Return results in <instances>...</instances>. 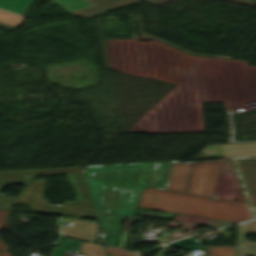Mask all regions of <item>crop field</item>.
<instances>
[{
    "label": "crop field",
    "instance_id": "obj_1",
    "mask_svg": "<svg viewBox=\"0 0 256 256\" xmlns=\"http://www.w3.org/2000/svg\"><path fill=\"white\" fill-rule=\"evenodd\" d=\"M65 174L76 192V198L65 205H53L43 199L45 179L33 180L16 199L15 203L30 206L33 212L49 214V211L82 218H93L95 215L87 191L81 167L40 170L37 175Z\"/></svg>",
    "mask_w": 256,
    "mask_h": 256
},
{
    "label": "crop field",
    "instance_id": "obj_2",
    "mask_svg": "<svg viewBox=\"0 0 256 256\" xmlns=\"http://www.w3.org/2000/svg\"><path fill=\"white\" fill-rule=\"evenodd\" d=\"M157 163L98 165L84 169L89 186L142 192L143 186H152Z\"/></svg>",
    "mask_w": 256,
    "mask_h": 256
},
{
    "label": "crop field",
    "instance_id": "obj_3",
    "mask_svg": "<svg viewBox=\"0 0 256 256\" xmlns=\"http://www.w3.org/2000/svg\"><path fill=\"white\" fill-rule=\"evenodd\" d=\"M222 160L174 161L166 190L211 198Z\"/></svg>",
    "mask_w": 256,
    "mask_h": 256
},
{
    "label": "crop field",
    "instance_id": "obj_4",
    "mask_svg": "<svg viewBox=\"0 0 256 256\" xmlns=\"http://www.w3.org/2000/svg\"><path fill=\"white\" fill-rule=\"evenodd\" d=\"M177 213L240 222L252 219L245 202L213 200L188 195Z\"/></svg>",
    "mask_w": 256,
    "mask_h": 256
},
{
    "label": "crop field",
    "instance_id": "obj_5",
    "mask_svg": "<svg viewBox=\"0 0 256 256\" xmlns=\"http://www.w3.org/2000/svg\"><path fill=\"white\" fill-rule=\"evenodd\" d=\"M96 212L132 216L139 193L89 187Z\"/></svg>",
    "mask_w": 256,
    "mask_h": 256
},
{
    "label": "crop field",
    "instance_id": "obj_6",
    "mask_svg": "<svg viewBox=\"0 0 256 256\" xmlns=\"http://www.w3.org/2000/svg\"><path fill=\"white\" fill-rule=\"evenodd\" d=\"M250 206L256 217V156L231 158Z\"/></svg>",
    "mask_w": 256,
    "mask_h": 256
},
{
    "label": "crop field",
    "instance_id": "obj_7",
    "mask_svg": "<svg viewBox=\"0 0 256 256\" xmlns=\"http://www.w3.org/2000/svg\"><path fill=\"white\" fill-rule=\"evenodd\" d=\"M186 194L149 188L143 190L138 208L177 212Z\"/></svg>",
    "mask_w": 256,
    "mask_h": 256
},
{
    "label": "crop field",
    "instance_id": "obj_8",
    "mask_svg": "<svg viewBox=\"0 0 256 256\" xmlns=\"http://www.w3.org/2000/svg\"><path fill=\"white\" fill-rule=\"evenodd\" d=\"M199 158L235 157L256 155V143L205 146Z\"/></svg>",
    "mask_w": 256,
    "mask_h": 256
},
{
    "label": "crop field",
    "instance_id": "obj_9",
    "mask_svg": "<svg viewBox=\"0 0 256 256\" xmlns=\"http://www.w3.org/2000/svg\"><path fill=\"white\" fill-rule=\"evenodd\" d=\"M61 221L70 222L71 225L66 228L59 225ZM57 228L59 229L60 236L86 240V241H94L96 238V233L98 230V226L94 222L78 220L74 218H67L65 220H60L57 222Z\"/></svg>",
    "mask_w": 256,
    "mask_h": 256
},
{
    "label": "crop field",
    "instance_id": "obj_10",
    "mask_svg": "<svg viewBox=\"0 0 256 256\" xmlns=\"http://www.w3.org/2000/svg\"><path fill=\"white\" fill-rule=\"evenodd\" d=\"M38 171L39 170L0 172V192L3 187H7L10 184H29ZM3 196L4 195H0V209L10 210L15 199Z\"/></svg>",
    "mask_w": 256,
    "mask_h": 256
},
{
    "label": "crop field",
    "instance_id": "obj_11",
    "mask_svg": "<svg viewBox=\"0 0 256 256\" xmlns=\"http://www.w3.org/2000/svg\"><path fill=\"white\" fill-rule=\"evenodd\" d=\"M94 6L69 13L80 17H92L113 9H117L140 0H89Z\"/></svg>",
    "mask_w": 256,
    "mask_h": 256
},
{
    "label": "crop field",
    "instance_id": "obj_12",
    "mask_svg": "<svg viewBox=\"0 0 256 256\" xmlns=\"http://www.w3.org/2000/svg\"><path fill=\"white\" fill-rule=\"evenodd\" d=\"M169 246L181 249L208 248V256H237L236 246L202 247L201 244L194 240L192 237L174 242L169 244Z\"/></svg>",
    "mask_w": 256,
    "mask_h": 256
},
{
    "label": "crop field",
    "instance_id": "obj_13",
    "mask_svg": "<svg viewBox=\"0 0 256 256\" xmlns=\"http://www.w3.org/2000/svg\"><path fill=\"white\" fill-rule=\"evenodd\" d=\"M246 234H256V221L237 225V245H256L245 240Z\"/></svg>",
    "mask_w": 256,
    "mask_h": 256
},
{
    "label": "crop field",
    "instance_id": "obj_14",
    "mask_svg": "<svg viewBox=\"0 0 256 256\" xmlns=\"http://www.w3.org/2000/svg\"><path fill=\"white\" fill-rule=\"evenodd\" d=\"M32 0H0V8L24 15Z\"/></svg>",
    "mask_w": 256,
    "mask_h": 256
},
{
    "label": "crop field",
    "instance_id": "obj_15",
    "mask_svg": "<svg viewBox=\"0 0 256 256\" xmlns=\"http://www.w3.org/2000/svg\"><path fill=\"white\" fill-rule=\"evenodd\" d=\"M51 3L62 6L65 13L92 6L88 0H52Z\"/></svg>",
    "mask_w": 256,
    "mask_h": 256
},
{
    "label": "crop field",
    "instance_id": "obj_16",
    "mask_svg": "<svg viewBox=\"0 0 256 256\" xmlns=\"http://www.w3.org/2000/svg\"><path fill=\"white\" fill-rule=\"evenodd\" d=\"M79 247L80 241L66 238L60 247L53 248L52 256H62L61 252L64 250L79 251Z\"/></svg>",
    "mask_w": 256,
    "mask_h": 256
},
{
    "label": "crop field",
    "instance_id": "obj_17",
    "mask_svg": "<svg viewBox=\"0 0 256 256\" xmlns=\"http://www.w3.org/2000/svg\"><path fill=\"white\" fill-rule=\"evenodd\" d=\"M21 20H22V17H18L15 15L0 11V21L1 22L18 26V24L20 23Z\"/></svg>",
    "mask_w": 256,
    "mask_h": 256
},
{
    "label": "crop field",
    "instance_id": "obj_18",
    "mask_svg": "<svg viewBox=\"0 0 256 256\" xmlns=\"http://www.w3.org/2000/svg\"><path fill=\"white\" fill-rule=\"evenodd\" d=\"M106 252L107 254L114 255V256H136L125 249L116 248L112 246H107Z\"/></svg>",
    "mask_w": 256,
    "mask_h": 256
},
{
    "label": "crop field",
    "instance_id": "obj_19",
    "mask_svg": "<svg viewBox=\"0 0 256 256\" xmlns=\"http://www.w3.org/2000/svg\"><path fill=\"white\" fill-rule=\"evenodd\" d=\"M238 256H256V246H237Z\"/></svg>",
    "mask_w": 256,
    "mask_h": 256
},
{
    "label": "crop field",
    "instance_id": "obj_20",
    "mask_svg": "<svg viewBox=\"0 0 256 256\" xmlns=\"http://www.w3.org/2000/svg\"><path fill=\"white\" fill-rule=\"evenodd\" d=\"M9 211L0 210V229L6 226V216ZM9 250L5 244L0 240V251Z\"/></svg>",
    "mask_w": 256,
    "mask_h": 256
},
{
    "label": "crop field",
    "instance_id": "obj_21",
    "mask_svg": "<svg viewBox=\"0 0 256 256\" xmlns=\"http://www.w3.org/2000/svg\"><path fill=\"white\" fill-rule=\"evenodd\" d=\"M0 27L3 29H6V30L12 31V32H14V30L16 29L15 26L7 25V24L1 23V22H0Z\"/></svg>",
    "mask_w": 256,
    "mask_h": 256
},
{
    "label": "crop field",
    "instance_id": "obj_22",
    "mask_svg": "<svg viewBox=\"0 0 256 256\" xmlns=\"http://www.w3.org/2000/svg\"><path fill=\"white\" fill-rule=\"evenodd\" d=\"M166 250H167V247L161 248L160 251L156 254V256H163Z\"/></svg>",
    "mask_w": 256,
    "mask_h": 256
},
{
    "label": "crop field",
    "instance_id": "obj_23",
    "mask_svg": "<svg viewBox=\"0 0 256 256\" xmlns=\"http://www.w3.org/2000/svg\"><path fill=\"white\" fill-rule=\"evenodd\" d=\"M10 252H0V256H11Z\"/></svg>",
    "mask_w": 256,
    "mask_h": 256
},
{
    "label": "crop field",
    "instance_id": "obj_24",
    "mask_svg": "<svg viewBox=\"0 0 256 256\" xmlns=\"http://www.w3.org/2000/svg\"><path fill=\"white\" fill-rule=\"evenodd\" d=\"M146 1L150 2V1H152V0H146Z\"/></svg>",
    "mask_w": 256,
    "mask_h": 256
}]
</instances>
